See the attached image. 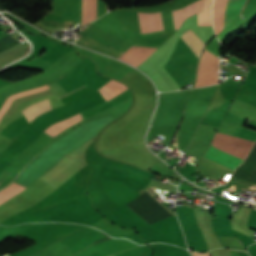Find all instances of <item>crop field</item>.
Instances as JSON below:
<instances>
[{
  "mask_svg": "<svg viewBox=\"0 0 256 256\" xmlns=\"http://www.w3.org/2000/svg\"><path fill=\"white\" fill-rule=\"evenodd\" d=\"M155 50L147 47H131L119 58L137 67Z\"/></svg>",
  "mask_w": 256,
  "mask_h": 256,
  "instance_id": "34b2d1b8",
  "label": "crop field"
},
{
  "mask_svg": "<svg viewBox=\"0 0 256 256\" xmlns=\"http://www.w3.org/2000/svg\"><path fill=\"white\" fill-rule=\"evenodd\" d=\"M98 90L106 101L115 95L127 90V87L119 82L110 80L104 87Z\"/></svg>",
  "mask_w": 256,
  "mask_h": 256,
  "instance_id": "e52e79f7",
  "label": "crop field"
},
{
  "mask_svg": "<svg viewBox=\"0 0 256 256\" xmlns=\"http://www.w3.org/2000/svg\"><path fill=\"white\" fill-rule=\"evenodd\" d=\"M149 192V191H148ZM150 193V192H149ZM151 195V194H150ZM152 196V195H151ZM153 197V196H152ZM154 198V197H153Z\"/></svg>",
  "mask_w": 256,
  "mask_h": 256,
  "instance_id": "22f410ed",
  "label": "crop field"
},
{
  "mask_svg": "<svg viewBox=\"0 0 256 256\" xmlns=\"http://www.w3.org/2000/svg\"><path fill=\"white\" fill-rule=\"evenodd\" d=\"M193 255H194V256H209L208 253H207V254H204V255H200V254H195V253H193Z\"/></svg>",
  "mask_w": 256,
  "mask_h": 256,
  "instance_id": "d1516ede",
  "label": "crop field"
},
{
  "mask_svg": "<svg viewBox=\"0 0 256 256\" xmlns=\"http://www.w3.org/2000/svg\"><path fill=\"white\" fill-rule=\"evenodd\" d=\"M215 137L231 140L234 142H238V143H242V144H246V145H250V146H252V144H253L252 141L235 138V137H231V136H227V135H223V134H219V133H216ZM215 137L212 140L211 146H213L217 149L232 153L234 155L240 156L242 158H244L246 156L247 152L250 149V146L234 143L231 141H227V140H223V139H219V138H215ZM211 146L204 154V157L211 159L217 163H220V164L227 166L234 170V168L237 165H239L243 160L242 158H239V157L231 155L229 153L217 150Z\"/></svg>",
  "mask_w": 256,
  "mask_h": 256,
  "instance_id": "8a807250",
  "label": "crop field"
},
{
  "mask_svg": "<svg viewBox=\"0 0 256 256\" xmlns=\"http://www.w3.org/2000/svg\"><path fill=\"white\" fill-rule=\"evenodd\" d=\"M236 1L237 0H228V3H227V8H226V20H225V27L232 21V16H233V10H234V7H235V4H236ZM246 0H238L237 1V4H236V7H235V11H234V17L233 19L240 13L244 3H245ZM248 1V0H247ZM246 1V3H247ZM245 3V5H246ZM244 5V7H245ZM243 7V9H244ZM242 9V10H243ZM242 12V11H241ZM241 14V13H240Z\"/></svg>",
  "mask_w": 256,
  "mask_h": 256,
  "instance_id": "d8731c3e",
  "label": "crop field"
},
{
  "mask_svg": "<svg viewBox=\"0 0 256 256\" xmlns=\"http://www.w3.org/2000/svg\"><path fill=\"white\" fill-rule=\"evenodd\" d=\"M202 2L203 0H200L184 9L181 8L182 10L173 11L175 30L185 19L201 10ZM138 18L141 33L163 30L161 12L155 14L138 13Z\"/></svg>",
  "mask_w": 256,
  "mask_h": 256,
  "instance_id": "ac0d7876",
  "label": "crop field"
},
{
  "mask_svg": "<svg viewBox=\"0 0 256 256\" xmlns=\"http://www.w3.org/2000/svg\"><path fill=\"white\" fill-rule=\"evenodd\" d=\"M48 85H45V86H42V87H39L37 89H33V90H29V91H25V92H21V93H17V94H14L12 96H10L5 104L3 105V107L1 108L0 110V118L1 116L5 113V111L7 110V108L9 107V105L11 104V102L15 99V98H18V97H21V96H24V95H27V94H30V93H34V92H39V91H43V90H46L48 89Z\"/></svg>",
  "mask_w": 256,
  "mask_h": 256,
  "instance_id": "28ad6ade",
  "label": "crop field"
},
{
  "mask_svg": "<svg viewBox=\"0 0 256 256\" xmlns=\"http://www.w3.org/2000/svg\"><path fill=\"white\" fill-rule=\"evenodd\" d=\"M51 109H52V107H51L48 99H44L40 102H37L35 104L28 106L21 112L25 116V118L28 120V122L30 123L35 117H37L41 113L47 112Z\"/></svg>",
  "mask_w": 256,
  "mask_h": 256,
  "instance_id": "412701ff",
  "label": "crop field"
},
{
  "mask_svg": "<svg viewBox=\"0 0 256 256\" xmlns=\"http://www.w3.org/2000/svg\"><path fill=\"white\" fill-rule=\"evenodd\" d=\"M7 187H8V186H7ZM7 187H6V188H7ZM2 190H3V189H2Z\"/></svg>",
  "mask_w": 256,
  "mask_h": 256,
  "instance_id": "cbeb9de0",
  "label": "crop field"
},
{
  "mask_svg": "<svg viewBox=\"0 0 256 256\" xmlns=\"http://www.w3.org/2000/svg\"><path fill=\"white\" fill-rule=\"evenodd\" d=\"M181 38L198 60L205 44L192 30L185 32Z\"/></svg>",
  "mask_w": 256,
  "mask_h": 256,
  "instance_id": "f4fd0767",
  "label": "crop field"
},
{
  "mask_svg": "<svg viewBox=\"0 0 256 256\" xmlns=\"http://www.w3.org/2000/svg\"><path fill=\"white\" fill-rule=\"evenodd\" d=\"M82 87H84V85L81 86V87H79V88H77V89H75V90H73V91H71V92L77 91L78 89H80V88H82ZM71 92H69V93H71ZM69 93H67V94H69ZM90 93H93V92H92L88 87H84V88L80 89L79 91H77V92H75V93H72V94H70V95H67V94H65V95H67V96L63 95V96H65V97L61 98V101H62L64 104H66V103H68V102H71V101H74V100H76V99L82 98V97H84V96H86V95H88V94H90ZM61 97H62V96H61ZM59 98H60V97H59Z\"/></svg>",
  "mask_w": 256,
  "mask_h": 256,
  "instance_id": "3316defc",
  "label": "crop field"
},
{
  "mask_svg": "<svg viewBox=\"0 0 256 256\" xmlns=\"http://www.w3.org/2000/svg\"><path fill=\"white\" fill-rule=\"evenodd\" d=\"M227 0H214L213 3V23L216 35L224 27V10Z\"/></svg>",
  "mask_w": 256,
  "mask_h": 256,
  "instance_id": "dd49c442",
  "label": "crop field"
},
{
  "mask_svg": "<svg viewBox=\"0 0 256 256\" xmlns=\"http://www.w3.org/2000/svg\"><path fill=\"white\" fill-rule=\"evenodd\" d=\"M210 3L211 0H204L202 11L198 13V26H212Z\"/></svg>",
  "mask_w": 256,
  "mask_h": 256,
  "instance_id": "5a996713",
  "label": "crop field"
}]
</instances>
